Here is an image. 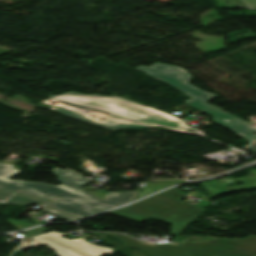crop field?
<instances>
[{"mask_svg":"<svg viewBox=\"0 0 256 256\" xmlns=\"http://www.w3.org/2000/svg\"><path fill=\"white\" fill-rule=\"evenodd\" d=\"M13 166L0 164V188L52 200L49 207L81 218L93 213L101 212L113 206L125 204L136 198L139 191L124 193H107L104 200L82 190L80 187L88 184L89 180L70 171L54 168L60 185L45 183H30L8 178L21 172L12 169ZM104 208L100 211L94 210Z\"/></svg>","mask_w":256,"mask_h":256,"instance_id":"obj_1","label":"crop field"},{"mask_svg":"<svg viewBox=\"0 0 256 256\" xmlns=\"http://www.w3.org/2000/svg\"><path fill=\"white\" fill-rule=\"evenodd\" d=\"M49 98L189 134H193L198 131L188 127L179 118L161 112L157 109L144 107L119 97H104L97 94L82 95L69 92L60 96L50 95Z\"/></svg>","mask_w":256,"mask_h":256,"instance_id":"obj_2","label":"crop field"},{"mask_svg":"<svg viewBox=\"0 0 256 256\" xmlns=\"http://www.w3.org/2000/svg\"><path fill=\"white\" fill-rule=\"evenodd\" d=\"M137 70L157 80L163 81L190 96L191 98L186 103L195 109L209 115L222 111L206 103L217 97L216 95L208 94L188 83L192 79V76L184 68L156 63L151 67H140Z\"/></svg>","mask_w":256,"mask_h":256,"instance_id":"obj_3","label":"crop field"},{"mask_svg":"<svg viewBox=\"0 0 256 256\" xmlns=\"http://www.w3.org/2000/svg\"><path fill=\"white\" fill-rule=\"evenodd\" d=\"M64 233L55 231L42 233L32 237L33 240L22 245L19 249H24L36 245H46L52 248L57 256H101L103 254H112L115 251L110 248L95 246L84 239L69 240L62 237ZM90 238V237H86Z\"/></svg>","mask_w":256,"mask_h":256,"instance_id":"obj_4","label":"crop field"},{"mask_svg":"<svg viewBox=\"0 0 256 256\" xmlns=\"http://www.w3.org/2000/svg\"><path fill=\"white\" fill-rule=\"evenodd\" d=\"M66 116L78 119V120H82L91 124H95L104 128H108L111 130H116V129H120V128H146V127H156V126H152V125H148V124H144V123H140V122H133L131 120H127L124 118H120L117 116H113L111 115L109 118H107L106 120L103 121H98V122H94V121H89L83 117H81L80 115H77L75 113H72L68 110H65L63 108H60L58 110H56Z\"/></svg>","mask_w":256,"mask_h":256,"instance_id":"obj_5","label":"crop field"},{"mask_svg":"<svg viewBox=\"0 0 256 256\" xmlns=\"http://www.w3.org/2000/svg\"><path fill=\"white\" fill-rule=\"evenodd\" d=\"M212 117L214 118L216 124L226 128L240 136H243L249 143L252 141V139L232 130L240 119L226 113L225 111L216 113V114L212 115Z\"/></svg>","mask_w":256,"mask_h":256,"instance_id":"obj_6","label":"crop field"},{"mask_svg":"<svg viewBox=\"0 0 256 256\" xmlns=\"http://www.w3.org/2000/svg\"><path fill=\"white\" fill-rule=\"evenodd\" d=\"M0 203H35L47 206L49 202L0 191Z\"/></svg>","mask_w":256,"mask_h":256,"instance_id":"obj_7","label":"crop field"},{"mask_svg":"<svg viewBox=\"0 0 256 256\" xmlns=\"http://www.w3.org/2000/svg\"><path fill=\"white\" fill-rule=\"evenodd\" d=\"M180 182H184V181L182 180L149 181L146 188L142 192H139L137 198Z\"/></svg>","mask_w":256,"mask_h":256,"instance_id":"obj_8","label":"crop field"},{"mask_svg":"<svg viewBox=\"0 0 256 256\" xmlns=\"http://www.w3.org/2000/svg\"><path fill=\"white\" fill-rule=\"evenodd\" d=\"M42 211L47 212L49 214H52V215H54L56 217H59L61 219L67 220V221H70L72 219H77V218H74L72 216H69V215H66V214L57 212L55 210L49 209V208H45V207L42 208Z\"/></svg>","mask_w":256,"mask_h":256,"instance_id":"obj_9","label":"crop field"},{"mask_svg":"<svg viewBox=\"0 0 256 256\" xmlns=\"http://www.w3.org/2000/svg\"><path fill=\"white\" fill-rule=\"evenodd\" d=\"M247 9H256V0H240Z\"/></svg>","mask_w":256,"mask_h":256,"instance_id":"obj_10","label":"crop field"},{"mask_svg":"<svg viewBox=\"0 0 256 256\" xmlns=\"http://www.w3.org/2000/svg\"><path fill=\"white\" fill-rule=\"evenodd\" d=\"M244 149H247L249 151H252V152L256 153V139H254L249 145L244 147Z\"/></svg>","mask_w":256,"mask_h":256,"instance_id":"obj_11","label":"crop field"},{"mask_svg":"<svg viewBox=\"0 0 256 256\" xmlns=\"http://www.w3.org/2000/svg\"><path fill=\"white\" fill-rule=\"evenodd\" d=\"M100 210V209H99Z\"/></svg>","mask_w":256,"mask_h":256,"instance_id":"obj_12","label":"crop field"}]
</instances>
